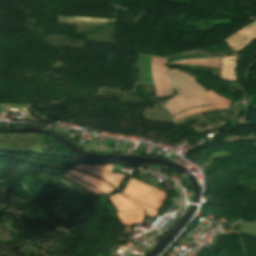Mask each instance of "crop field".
Returning <instances> with one entry per match:
<instances>
[{"mask_svg": "<svg viewBox=\"0 0 256 256\" xmlns=\"http://www.w3.org/2000/svg\"><path fill=\"white\" fill-rule=\"evenodd\" d=\"M122 193V192H121ZM124 194V193H123ZM125 195V194H124ZM127 196V195H126ZM128 197V196H127ZM130 198V197H129ZM131 199V198H130ZM133 200V199H132ZM133 201H135V200H133ZM137 204H139L141 207H143L145 210H146V213H147V215H149V216H155V214H156V210H154V209H152V208H150V207H147V206H145V205H143V204H141V203H139V202H137V201H135Z\"/></svg>", "mask_w": 256, "mask_h": 256, "instance_id": "d1516ede", "label": "crop field"}, {"mask_svg": "<svg viewBox=\"0 0 256 256\" xmlns=\"http://www.w3.org/2000/svg\"><path fill=\"white\" fill-rule=\"evenodd\" d=\"M124 197L120 194L109 197L118 210L120 221L126 225L142 222L144 211L136 203L135 204L138 208Z\"/></svg>", "mask_w": 256, "mask_h": 256, "instance_id": "ac0d7876", "label": "crop field"}, {"mask_svg": "<svg viewBox=\"0 0 256 256\" xmlns=\"http://www.w3.org/2000/svg\"><path fill=\"white\" fill-rule=\"evenodd\" d=\"M198 97H200L206 103L213 104V105H207V106H202V107H198V108H194V109H190V110H185V111L179 113L173 119H171L174 122V124L190 115H193V114L202 113V112H206V111L213 110V109H228L229 108L230 100H227V99L219 96L218 94L214 93L212 91V89Z\"/></svg>", "mask_w": 256, "mask_h": 256, "instance_id": "34b2d1b8", "label": "crop field"}, {"mask_svg": "<svg viewBox=\"0 0 256 256\" xmlns=\"http://www.w3.org/2000/svg\"><path fill=\"white\" fill-rule=\"evenodd\" d=\"M220 61H221V58H216L211 60H189V61H181L176 63L201 65V66H215L220 68Z\"/></svg>", "mask_w": 256, "mask_h": 256, "instance_id": "5a996713", "label": "crop field"}, {"mask_svg": "<svg viewBox=\"0 0 256 256\" xmlns=\"http://www.w3.org/2000/svg\"><path fill=\"white\" fill-rule=\"evenodd\" d=\"M76 169L82 170V171H86L89 173H92L96 176L102 177L104 178L107 182L113 184L115 187H118V184L120 183V181L122 179H124L125 176L123 175H116V174H110V173H103V172H98V171H94V170H89V169H83V168H77L74 167ZM73 168V169H74Z\"/></svg>", "mask_w": 256, "mask_h": 256, "instance_id": "d8731c3e", "label": "crop field"}, {"mask_svg": "<svg viewBox=\"0 0 256 256\" xmlns=\"http://www.w3.org/2000/svg\"><path fill=\"white\" fill-rule=\"evenodd\" d=\"M69 174L95 186L96 188L100 189L102 192L106 193V192H110V191H113L114 189L109 186L108 184L92 177V176H88V175H84V174H80V173H77V172H74V171H70Z\"/></svg>", "mask_w": 256, "mask_h": 256, "instance_id": "e52e79f7", "label": "crop field"}, {"mask_svg": "<svg viewBox=\"0 0 256 256\" xmlns=\"http://www.w3.org/2000/svg\"><path fill=\"white\" fill-rule=\"evenodd\" d=\"M167 59L152 57L151 73L156 86V97L172 95L173 88L165 74Z\"/></svg>", "mask_w": 256, "mask_h": 256, "instance_id": "412701ff", "label": "crop field"}, {"mask_svg": "<svg viewBox=\"0 0 256 256\" xmlns=\"http://www.w3.org/2000/svg\"><path fill=\"white\" fill-rule=\"evenodd\" d=\"M123 192L130 197L156 209L159 208L166 196V193L134 178L131 179L128 187Z\"/></svg>", "mask_w": 256, "mask_h": 256, "instance_id": "8a807250", "label": "crop field"}, {"mask_svg": "<svg viewBox=\"0 0 256 256\" xmlns=\"http://www.w3.org/2000/svg\"><path fill=\"white\" fill-rule=\"evenodd\" d=\"M77 167H83V168H89V169H96V170H102L106 172H110L112 166L107 165V166H77Z\"/></svg>", "mask_w": 256, "mask_h": 256, "instance_id": "28ad6ade", "label": "crop field"}, {"mask_svg": "<svg viewBox=\"0 0 256 256\" xmlns=\"http://www.w3.org/2000/svg\"><path fill=\"white\" fill-rule=\"evenodd\" d=\"M64 177H66V178L72 180L73 182L79 184L80 186H82L83 188H85V189L91 191V192H92L93 194H95V195L101 194L99 191L93 189L94 187L91 188L92 186L90 187V186H88V185H86V184L80 182L79 180H77V179H75V178H73V177H71V176H69V175H67V174H66Z\"/></svg>", "mask_w": 256, "mask_h": 256, "instance_id": "3316defc", "label": "crop field"}, {"mask_svg": "<svg viewBox=\"0 0 256 256\" xmlns=\"http://www.w3.org/2000/svg\"><path fill=\"white\" fill-rule=\"evenodd\" d=\"M236 58L237 56L223 58L220 78L235 81Z\"/></svg>", "mask_w": 256, "mask_h": 256, "instance_id": "dd49c442", "label": "crop field"}, {"mask_svg": "<svg viewBox=\"0 0 256 256\" xmlns=\"http://www.w3.org/2000/svg\"><path fill=\"white\" fill-rule=\"evenodd\" d=\"M256 21L250 23L249 25L243 27L242 29H240L238 32H236L235 34H233L232 36L236 35L237 33H239L240 31L244 30L245 28L255 24ZM232 36H230L229 38H231ZM256 37V24L245 29L244 31H242L241 33L237 34L236 36H234L233 38L229 39L230 42L233 44V46L235 47V49H237L238 47H240L241 45L245 44L247 41H249L251 38ZM227 40V42L229 43V45L231 46V48L234 50V52H237L240 48L244 47L245 45H247L249 42H251L252 40L256 39H251L249 42H247L245 45H243L242 47L238 48L237 50L234 49V47L231 45V43L229 42V40Z\"/></svg>", "mask_w": 256, "mask_h": 256, "instance_id": "f4fd0767", "label": "crop field"}]
</instances>
